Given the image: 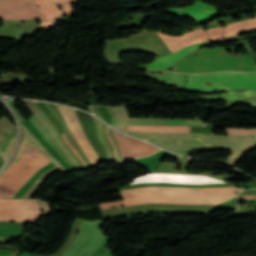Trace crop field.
Masks as SVG:
<instances>
[{
	"label": "crop field",
	"mask_w": 256,
	"mask_h": 256,
	"mask_svg": "<svg viewBox=\"0 0 256 256\" xmlns=\"http://www.w3.org/2000/svg\"><path fill=\"white\" fill-rule=\"evenodd\" d=\"M41 214L36 199H0V221H37Z\"/></svg>",
	"instance_id": "6"
},
{
	"label": "crop field",
	"mask_w": 256,
	"mask_h": 256,
	"mask_svg": "<svg viewBox=\"0 0 256 256\" xmlns=\"http://www.w3.org/2000/svg\"><path fill=\"white\" fill-rule=\"evenodd\" d=\"M210 44L209 41L203 42L188 48H185L179 52L167 55V56H162L159 58H156L153 62H151L148 65H142L139 64L138 68H147V69H155V70H162L167 67L172 66L178 59H180L182 56L187 55L195 50H197L199 47L203 45Z\"/></svg>",
	"instance_id": "15"
},
{
	"label": "crop field",
	"mask_w": 256,
	"mask_h": 256,
	"mask_svg": "<svg viewBox=\"0 0 256 256\" xmlns=\"http://www.w3.org/2000/svg\"><path fill=\"white\" fill-rule=\"evenodd\" d=\"M41 155L43 154L32 145L15 166L6 170L3 176L0 178V196L6 190L8 185L26 169V166L29 165L33 160L39 158Z\"/></svg>",
	"instance_id": "13"
},
{
	"label": "crop field",
	"mask_w": 256,
	"mask_h": 256,
	"mask_svg": "<svg viewBox=\"0 0 256 256\" xmlns=\"http://www.w3.org/2000/svg\"><path fill=\"white\" fill-rule=\"evenodd\" d=\"M62 137L65 141V143L71 148V150L75 153V155L81 160V162L86 166V164L83 162V160L80 158V156L77 154V152L74 150V148L71 146V144L66 140L65 135L62 134ZM87 167V166H86Z\"/></svg>",
	"instance_id": "31"
},
{
	"label": "crop field",
	"mask_w": 256,
	"mask_h": 256,
	"mask_svg": "<svg viewBox=\"0 0 256 256\" xmlns=\"http://www.w3.org/2000/svg\"><path fill=\"white\" fill-rule=\"evenodd\" d=\"M20 122V121H19ZM21 133L34 145L36 146L46 157H48L58 168L61 169L62 172L66 173V171L61 164L53 158L44 147L35 139V137L25 128V126L20 122Z\"/></svg>",
	"instance_id": "23"
},
{
	"label": "crop field",
	"mask_w": 256,
	"mask_h": 256,
	"mask_svg": "<svg viewBox=\"0 0 256 256\" xmlns=\"http://www.w3.org/2000/svg\"><path fill=\"white\" fill-rule=\"evenodd\" d=\"M227 134H254L253 129H226Z\"/></svg>",
	"instance_id": "28"
},
{
	"label": "crop field",
	"mask_w": 256,
	"mask_h": 256,
	"mask_svg": "<svg viewBox=\"0 0 256 256\" xmlns=\"http://www.w3.org/2000/svg\"><path fill=\"white\" fill-rule=\"evenodd\" d=\"M190 126H128L127 130L189 132Z\"/></svg>",
	"instance_id": "22"
},
{
	"label": "crop field",
	"mask_w": 256,
	"mask_h": 256,
	"mask_svg": "<svg viewBox=\"0 0 256 256\" xmlns=\"http://www.w3.org/2000/svg\"><path fill=\"white\" fill-rule=\"evenodd\" d=\"M141 190L140 192H137ZM241 191L235 187L179 188L139 187L123 190L125 201L100 204L102 209L143 203L218 204Z\"/></svg>",
	"instance_id": "2"
},
{
	"label": "crop field",
	"mask_w": 256,
	"mask_h": 256,
	"mask_svg": "<svg viewBox=\"0 0 256 256\" xmlns=\"http://www.w3.org/2000/svg\"><path fill=\"white\" fill-rule=\"evenodd\" d=\"M115 115L114 127L125 132L127 125H193L207 126L201 121H192L185 119H149V118H128V114L124 106L111 107Z\"/></svg>",
	"instance_id": "8"
},
{
	"label": "crop field",
	"mask_w": 256,
	"mask_h": 256,
	"mask_svg": "<svg viewBox=\"0 0 256 256\" xmlns=\"http://www.w3.org/2000/svg\"><path fill=\"white\" fill-rule=\"evenodd\" d=\"M35 127L38 129V131L41 133V135L46 139L49 144L62 156V158L72 167L76 168L75 165L71 162V160L57 147V145L53 142L50 134L47 132V130L43 127V125L36 119V117L33 115L29 118Z\"/></svg>",
	"instance_id": "21"
},
{
	"label": "crop field",
	"mask_w": 256,
	"mask_h": 256,
	"mask_svg": "<svg viewBox=\"0 0 256 256\" xmlns=\"http://www.w3.org/2000/svg\"><path fill=\"white\" fill-rule=\"evenodd\" d=\"M51 162L44 155L33 162L28 168L7 188L2 194L3 198H12L16 192L30 179V177L40 168Z\"/></svg>",
	"instance_id": "14"
},
{
	"label": "crop field",
	"mask_w": 256,
	"mask_h": 256,
	"mask_svg": "<svg viewBox=\"0 0 256 256\" xmlns=\"http://www.w3.org/2000/svg\"><path fill=\"white\" fill-rule=\"evenodd\" d=\"M147 182H173L183 184H216L225 183L222 180L210 178L206 175H188V174H146L135 178V181L130 183L139 184Z\"/></svg>",
	"instance_id": "10"
},
{
	"label": "crop field",
	"mask_w": 256,
	"mask_h": 256,
	"mask_svg": "<svg viewBox=\"0 0 256 256\" xmlns=\"http://www.w3.org/2000/svg\"><path fill=\"white\" fill-rule=\"evenodd\" d=\"M256 199V195L240 196L238 200Z\"/></svg>",
	"instance_id": "33"
},
{
	"label": "crop field",
	"mask_w": 256,
	"mask_h": 256,
	"mask_svg": "<svg viewBox=\"0 0 256 256\" xmlns=\"http://www.w3.org/2000/svg\"><path fill=\"white\" fill-rule=\"evenodd\" d=\"M106 135H107V137L109 138V140H110V142H111V144H112V146H113V150H114V153H115V155H116V159H117V161H119V158H118V155H117L115 146H114V144H113V142H112V139H111V137H110V135H109V133H108V126H106Z\"/></svg>",
	"instance_id": "32"
},
{
	"label": "crop field",
	"mask_w": 256,
	"mask_h": 256,
	"mask_svg": "<svg viewBox=\"0 0 256 256\" xmlns=\"http://www.w3.org/2000/svg\"><path fill=\"white\" fill-rule=\"evenodd\" d=\"M24 101V100H23ZM24 103L28 106V108L32 111V113L42 122L45 128L50 132L52 138L54 139L55 143L64 151V153L73 161V163L81 169H84L78 161L73 157V155L64 147L62 142L60 141L57 132L55 131L54 127L50 123V121L46 118L44 114H42L36 106L29 101H24Z\"/></svg>",
	"instance_id": "17"
},
{
	"label": "crop field",
	"mask_w": 256,
	"mask_h": 256,
	"mask_svg": "<svg viewBox=\"0 0 256 256\" xmlns=\"http://www.w3.org/2000/svg\"><path fill=\"white\" fill-rule=\"evenodd\" d=\"M211 82L214 85L206 86V83ZM176 89L193 92L256 89V73L214 72L189 74V85Z\"/></svg>",
	"instance_id": "5"
},
{
	"label": "crop field",
	"mask_w": 256,
	"mask_h": 256,
	"mask_svg": "<svg viewBox=\"0 0 256 256\" xmlns=\"http://www.w3.org/2000/svg\"><path fill=\"white\" fill-rule=\"evenodd\" d=\"M40 207L43 209V215L48 216L52 214V211L50 210L49 203L47 201H43L40 199H37Z\"/></svg>",
	"instance_id": "29"
},
{
	"label": "crop field",
	"mask_w": 256,
	"mask_h": 256,
	"mask_svg": "<svg viewBox=\"0 0 256 256\" xmlns=\"http://www.w3.org/2000/svg\"><path fill=\"white\" fill-rule=\"evenodd\" d=\"M113 134L119 144L121 156L124 162H129L136 158L150 155L159 150L154 146L142 143L131 137L121 135L115 131H113Z\"/></svg>",
	"instance_id": "11"
},
{
	"label": "crop field",
	"mask_w": 256,
	"mask_h": 256,
	"mask_svg": "<svg viewBox=\"0 0 256 256\" xmlns=\"http://www.w3.org/2000/svg\"><path fill=\"white\" fill-rule=\"evenodd\" d=\"M58 168L55 166L47 171H45L33 184L32 186L24 193L22 197L29 198L33 192L38 188V186L43 182L44 178L56 171Z\"/></svg>",
	"instance_id": "25"
},
{
	"label": "crop field",
	"mask_w": 256,
	"mask_h": 256,
	"mask_svg": "<svg viewBox=\"0 0 256 256\" xmlns=\"http://www.w3.org/2000/svg\"><path fill=\"white\" fill-rule=\"evenodd\" d=\"M162 30L164 29H159L157 32L172 52L188 45L208 40L206 33L201 28L181 36H170V34L160 33ZM157 32L145 30L126 39L107 41L104 54L108 62L112 64H123L119 59L120 53L123 52H144L155 55L171 53Z\"/></svg>",
	"instance_id": "3"
},
{
	"label": "crop field",
	"mask_w": 256,
	"mask_h": 256,
	"mask_svg": "<svg viewBox=\"0 0 256 256\" xmlns=\"http://www.w3.org/2000/svg\"><path fill=\"white\" fill-rule=\"evenodd\" d=\"M127 133L145 141L165 147L169 150H233L225 160V162L232 165H234L237 159L244 152L256 147L254 135L161 132Z\"/></svg>",
	"instance_id": "1"
},
{
	"label": "crop field",
	"mask_w": 256,
	"mask_h": 256,
	"mask_svg": "<svg viewBox=\"0 0 256 256\" xmlns=\"http://www.w3.org/2000/svg\"><path fill=\"white\" fill-rule=\"evenodd\" d=\"M31 145L32 144L30 142H28L22 135V141H21L20 148H19L16 156L13 158L12 162L6 169H8V168L12 167L14 164H16L21 159V157L26 153V151L30 148Z\"/></svg>",
	"instance_id": "26"
},
{
	"label": "crop field",
	"mask_w": 256,
	"mask_h": 256,
	"mask_svg": "<svg viewBox=\"0 0 256 256\" xmlns=\"http://www.w3.org/2000/svg\"><path fill=\"white\" fill-rule=\"evenodd\" d=\"M15 127L3 116L0 118V146L7 134Z\"/></svg>",
	"instance_id": "27"
},
{
	"label": "crop field",
	"mask_w": 256,
	"mask_h": 256,
	"mask_svg": "<svg viewBox=\"0 0 256 256\" xmlns=\"http://www.w3.org/2000/svg\"><path fill=\"white\" fill-rule=\"evenodd\" d=\"M28 130L36 137V139L46 148V150L55 157L62 166L67 169L68 171L71 169L70 166L52 149V147L43 139L37 129L33 126V124L29 120H22L21 121Z\"/></svg>",
	"instance_id": "18"
},
{
	"label": "crop field",
	"mask_w": 256,
	"mask_h": 256,
	"mask_svg": "<svg viewBox=\"0 0 256 256\" xmlns=\"http://www.w3.org/2000/svg\"><path fill=\"white\" fill-rule=\"evenodd\" d=\"M54 3L75 0H52ZM45 20L43 13L32 0H0V20Z\"/></svg>",
	"instance_id": "7"
},
{
	"label": "crop field",
	"mask_w": 256,
	"mask_h": 256,
	"mask_svg": "<svg viewBox=\"0 0 256 256\" xmlns=\"http://www.w3.org/2000/svg\"><path fill=\"white\" fill-rule=\"evenodd\" d=\"M255 132H256V129H255Z\"/></svg>",
	"instance_id": "35"
},
{
	"label": "crop field",
	"mask_w": 256,
	"mask_h": 256,
	"mask_svg": "<svg viewBox=\"0 0 256 256\" xmlns=\"http://www.w3.org/2000/svg\"><path fill=\"white\" fill-rule=\"evenodd\" d=\"M92 118L94 120L97 138L100 140V142H101V144H102V146H103V148H104V150H105V152H106V154L108 156V159L114 161V159L112 157V154H111V152H110V150H109V148H108V146H107V144H106V142H105V140L103 138V135H102V122L98 121L94 117H92Z\"/></svg>",
	"instance_id": "24"
},
{
	"label": "crop field",
	"mask_w": 256,
	"mask_h": 256,
	"mask_svg": "<svg viewBox=\"0 0 256 256\" xmlns=\"http://www.w3.org/2000/svg\"><path fill=\"white\" fill-rule=\"evenodd\" d=\"M56 106L61 112L70 133L76 139V141L78 142L84 154L92 163V165L95 166V164L99 161V158L94 149L92 148V146L90 145V143L88 142V140L86 139L83 128L79 120L77 119L75 111L64 106Z\"/></svg>",
	"instance_id": "9"
},
{
	"label": "crop field",
	"mask_w": 256,
	"mask_h": 256,
	"mask_svg": "<svg viewBox=\"0 0 256 256\" xmlns=\"http://www.w3.org/2000/svg\"><path fill=\"white\" fill-rule=\"evenodd\" d=\"M247 45L222 48H234ZM254 58H256V55L251 54H247L241 58L225 56L224 53H219L218 48L200 49L196 52L195 57L185 56L178 60L175 64V69L172 71L190 73L216 70L256 71V61Z\"/></svg>",
	"instance_id": "4"
},
{
	"label": "crop field",
	"mask_w": 256,
	"mask_h": 256,
	"mask_svg": "<svg viewBox=\"0 0 256 256\" xmlns=\"http://www.w3.org/2000/svg\"><path fill=\"white\" fill-rule=\"evenodd\" d=\"M144 76L155 79L160 83H164L168 85L188 84V74L164 73V76H153V75H147V74H145Z\"/></svg>",
	"instance_id": "19"
},
{
	"label": "crop field",
	"mask_w": 256,
	"mask_h": 256,
	"mask_svg": "<svg viewBox=\"0 0 256 256\" xmlns=\"http://www.w3.org/2000/svg\"><path fill=\"white\" fill-rule=\"evenodd\" d=\"M75 111L77 113V116H78L80 122L83 125L85 134H86L89 142L91 143V145L97 152L98 156L100 157L101 160L108 161L104 150L102 149L98 139L96 138L95 128H94V124H93V120H92L91 116H89L85 113H82L80 111H77V110H75Z\"/></svg>",
	"instance_id": "16"
},
{
	"label": "crop field",
	"mask_w": 256,
	"mask_h": 256,
	"mask_svg": "<svg viewBox=\"0 0 256 256\" xmlns=\"http://www.w3.org/2000/svg\"><path fill=\"white\" fill-rule=\"evenodd\" d=\"M3 160V156L0 157V161Z\"/></svg>",
	"instance_id": "34"
},
{
	"label": "crop field",
	"mask_w": 256,
	"mask_h": 256,
	"mask_svg": "<svg viewBox=\"0 0 256 256\" xmlns=\"http://www.w3.org/2000/svg\"><path fill=\"white\" fill-rule=\"evenodd\" d=\"M209 5L197 0L191 6L169 8L165 11L174 15L192 17L195 20L196 24L199 25L207 22L209 19L218 15L217 9Z\"/></svg>",
	"instance_id": "12"
},
{
	"label": "crop field",
	"mask_w": 256,
	"mask_h": 256,
	"mask_svg": "<svg viewBox=\"0 0 256 256\" xmlns=\"http://www.w3.org/2000/svg\"><path fill=\"white\" fill-rule=\"evenodd\" d=\"M14 142H15V136L11 139V141L5 151V154H4L5 160H7V158L9 157L12 147L14 145Z\"/></svg>",
	"instance_id": "30"
},
{
	"label": "crop field",
	"mask_w": 256,
	"mask_h": 256,
	"mask_svg": "<svg viewBox=\"0 0 256 256\" xmlns=\"http://www.w3.org/2000/svg\"><path fill=\"white\" fill-rule=\"evenodd\" d=\"M44 13L47 21H54L55 16H62V11L51 0H34Z\"/></svg>",
	"instance_id": "20"
}]
</instances>
